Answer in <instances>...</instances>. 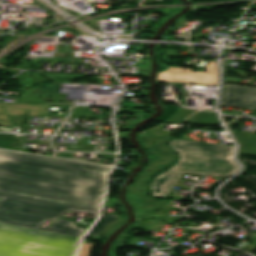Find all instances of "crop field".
<instances>
[{
  "instance_id": "e52e79f7",
  "label": "crop field",
  "mask_w": 256,
  "mask_h": 256,
  "mask_svg": "<svg viewBox=\"0 0 256 256\" xmlns=\"http://www.w3.org/2000/svg\"><path fill=\"white\" fill-rule=\"evenodd\" d=\"M233 134L240 144L239 153L256 155V145H254V142H256V134L237 131H233Z\"/></svg>"
},
{
  "instance_id": "d1516ede",
  "label": "crop field",
  "mask_w": 256,
  "mask_h": 256,
  "mask_svg": "<svg viewBox=\"0 0 256 256\" xmlns=\"http://www.w3.org/2000/svg\"><path fill=\"white\" fill-rule=\"evenodd\" d=\"M0 125L12 127L7 115L5 114V112L3 111V109L1 107H0Z\"/></svg>"
},
{
  "instance_id": "ac0d7876",
  "label": "crop field",
  "mask_w": 256,
  "mask_h": 256,
  "mask_svg": "<svg viewBox=\"0 0 256 256\" xmlns=\"http://www.w3.org/2000/svg\"><path fill=\"white\" fill-rule=\"evenodd\" d=\"M137 136L153 159L131 183L128 188L130 194L143 195L142 186L147 178L173 160L174 155L167 147L180 154V162L152 183V193L157 197L168 196L184 173L227 177L239 169V165L232 160L234 146L179 139L171 140L170 146H166L165 138Z\"/></svg>"
},
{
  "instance_id": "5a996713",
  "label": "crop field",
  "mask_w": 256,
  "mask_h": 256,
  "mask_svg": "<svg viewBox=\"0 0 256 256\" xmlns=\"http://www.w3.org/2000/svg\"><path fill=\"white\" fill-rule=\"evenodd\" d=\"M15 132L14 129L0 127V148L10 149Z\"/></svg>"
},
{
  "instance_id": "8a807250",
  "label": "crop field",
  "mask_w": 256,
  "mask_h": 256,
  "mask_svg": "<svg viewBox=\"0 0 256 256\" xmlns=\"http://www.w3.org/2000/svg\"><path fill=\"white\" fill-rule=\"evenodd\" d=\"M111 167L0 150V222L82 237L60 219L75 210L98 215Z\"/></svg>"
},
{
  "instance_id": "dd49c442",
  "label": "crop field",
  "mask_w": 256,
  "mask_h": 256,
  "mask_svg": "<svg viewBox=\"0 0 256 256\" xmlns=\"http://www.w3.org/2000/svg\"><path fill=\"white\" fill-rule=\"evenodd\" d=\"M2 105L7 115H15V116H24L26 110H30L29 116H40V114H46L49 108V105H37V104L2 103Z\"/></svg>"
},
{
  "instance_id": "28ad6ade",
  "label": "crop field",
  "mask_w": 256,
  "mask_h": 256,
  "mask_svg": "<svg viewBox=\"0 0 256 256\" xmlns=\"http://www.w3.org/2000/svg\"><path fill=\"white\" fill-rule=\"evenodd\" d=\"M195 111L197 110L180 108L178 109V112L173 117H171L166 123L181 124L185 118H187Z\"/></svg>"
},
{
  "instance_id": "d8731c3e",
  "label": "crop field",
  "mask_w": 256,
  "mask_h": 256,
  "mask_svg": "<svg viewBox=\"0 0 256 256\" xmlns=\"http://www.w3.org/2000/svg\"><path fill=\"white\" fill-rule=\"evenodd\" d=\"M187 122L194 123V124H205V125H215L219 123L216 113H211V112L197 113L194 116H192L190 119H188Z\"/></svg>"
},
{
  "instance_id": "412701ff",
  "label": "crop field",
  "mask_w": 256,
  "mask_h": 256,
  "mask_svg": "<svg viewBox=\"0 0 256 256\" xmlns=\"http://www.w3.org/2000/svg\"><path fill=\"white\" fill-rule=\"evenodd\" d=\"M207 72H191V69L170 67L167 71L158 73L156 81L190 83L200 85L216 84L215 62L206 67Z\"/></svg>"
},
{
  "instance_id": "3316defc",
  "label": "crop field",
  "mask_w": 256,
  "mask_h": 256,
  "mask_svg": "<svg viewBox=\"0 0 256 256\" xmlns=\"http://www.w3.org/2000/svg\"><path fill=\"white\" fill-rule=\"evenodd\" d=\"M116 216L102 215L100 220L95 224V226L90 230L88 235L96 236L101 230H103L107 223L116 220Z\"/></svg>"
},
{
  "instance_id": "34b2d1b8",
  "label": "crop field",
  "mask_w": 256,
  "mask_h": 256,
  "mask_svg": "<svg viewBox=\"0 0 256 256\" xmlns=\"http://www.w3.org/2000/svg\"><path fill=\"white\" fill-rule=\"evenodd\" d=\"M80 239L0 223V256H74Z\"/></svg>"
},
{
  "instance_id": "f4fd0767",
  "label": "crop field",
  "mask_w": 256,
  "mask_h": 256,
  "mask_svg": "<svg viewBox=\"0 0 256 256\" xmlns=\"http://www.w3.org/2000/svg\"><path fill=\"white\" fill-rule=\"evenodd\" d=\"M221 105L256 109V88L223 85Z\"/></svg>"
},
{
  "instance_id": "22f410ed",
  "label": "crop field",
  "mask_w": 256,
  "mask_h": 256,
  "mask_svg": "<svg viewBox=\"0 0 256 256\" xmlns=\"http://www.w3.org/2000/svg\"><path fill=\"white\" fill-rule=\"evenodd\" d=\"M92 246V244L84 243L81 248V252L79 256H89V249Z\"/></svg>"
}]
</instances>
